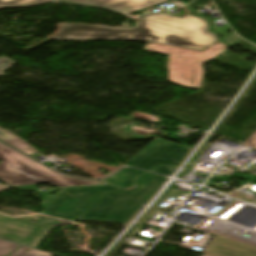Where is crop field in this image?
Returning a JSON list of instances; mask_svg holds the SVG:
<instances>
[{"mask_svg":"<svg viewBox=\"0 0 256 256\" xmlns=\"http://www.w3.org/2000/svg\"><path fill=\"white\" fill-rule=\"evenodd\" d=\"M242 145L256 149V132H254L247 140H245Z\"/></svg>","mask_w":256,"mask_h":256,"instance_id":"d9b57169","label":"crop field"},{"mask_svg":"<svg viewBox=\"0 0 256 256\" xmlns=\"http://www.w3.org/2000/svg\"><path fill=\"white\" fill-rule=\"evenodd\" d=\"M146 51L169 54L167 61L168 80L185 87L200 89L204 77L202 64L223 51L228 46L218 41L203 51L188 50L147 43Z\"/></svg>","mask_w":256,"mask_h":256,"instance_id":"ac0d7876","label":"crop field"},{"mask_svg":"<svg viewBox=\"0 0 256 256\" xmlns=\"http://www.w3.org/2000/svg\"><path fill=\"white\" fill-rule=\"evenodd\" d=\"M52 0H0V8L29 7ZM69 2L86 3L112 9L120 13H128L143 9L153 4L168 0H67Z\"/></svg>","mask_w":256,"mask_h":256,"instance_id":"e52e79f7","label":"crop field"},{"mask_svg":"<svg viewBox=\"0 0 256 256\" xmlns=\"http://www.w3.org/2000/svg\"><path fill=\"white\" fill-rule=\"evenodd\" d=\"M9 58H0V66H2L4 63L8 62Z\"/></svg>","mask_w":256,"mask_h":256,"instance_id":"92a150f3","label":"crop field"},{"mask_svg":"<svg viewBox=\"0 0 256 256\" xmlns=\"http://www.w3.org/2000/svg\"><path fill=\"white\" fill-rule=\"evenodd\" d=\"M144 171L134 169V168H125L118 173L117 180L121 188L133 186L134 177L138 176Z\"/></svg>","mask_w":256,"mask_h":256,"instance_id":"28ad6ade","label":"crop field"},{"mask_svg":"<svg viewBox=\"0 0 256 256\" xmlns=\"http://www.w3.org/2000/svg\"><path fill=\"white\" fill-rule=\"evenodd\" d=\"M166 179L163 176L152 173L142 175L136 180L137 188L130 192L151 197Z\"/></svg>","mask_w":256,"mask_h":256,"instance_id":"3316defc","label":"crop field"},{"mask_svg":"<svg viewBox=\"0 0 256 256\" xmlns=\"http://www.w3.org/2000/svg\"><path fill=\"white\" fill-rule=\"evenodd\" d=\"M7 188H10V187H8V186H6V185H0V191L5 190V189H7Z\"/></svg>","mask_w":256,"mask_h":256,"instance_id":"dafd665d","label":"crop field"},{"mask_svg":"<svg viewBox=\"0 0 256 256\" xmlns=\"http://www.w3.org/2000/svg\"><path fill=\"white\" fill-rule=\"evenodd\" d=\"M119 189L109 185L66 188L42 213L75 221L103 192Z\"/></svg>","mask_w":256,"mask_h":256,"instance_id":"412701ff","label":"crop field"},{"mask_svg":"<svg viewBox=\"0 0 256 256\" xmlns=\"http://www.w3.org/2000/svg\"><path fill=\"white\" fill-rule=\"evenodd\" d=\"M202 256H212V255L204 254V255H202Z\"/></svg>","mask_w":256,"mask_h":256,"instance_id":"00972430","label":"crop field"},{"mask_svg":"<svg viewBox=\"0 0 256 256\" xmlns=\"http://www.w3.org/2000/svg\"><path fill=\"white\" fill-rule=\"evenodd\" d=\"M14 63L11 61V62H9L6 66H4V67H1L0 68V75H3L4 73H3V69H6V68H9L10 66H12Z\"/></svg>","mask_w":256,"mask_h":256,"instance_id":"214f88e0","label":"crop field"},{"mask_svg":"<svg viewBox=\"0 0 256 256\" xmlns=\"http://www.w3.org/2000/svg\"><path fill=\"white\" fill-rule=\"evenodd\" d=\"M188 148L155 138L125 165L151 171L161 164L175 166L188 152Z\"/></svg>","mask_w":256,"mask_h":256,"instance_id":"f4fd0767","label":"crop field"},{"mask_svg":"<svg viewBox=\"0 0 256 256\" xmlns=\"http://www.w3.org/2000/svg\"><path fill=\"white\" fill-rule=\"evenodd\" d=\"M52 39L136 40L202 49L217 40L208 23L197 17L180 19L165 14L146 13L134 28H110L89 24H59Z\"/></svg>","mask_w":256,"mask_h":256,"instance_id":"8a807250","label":"crop field"},{"mask_svg":"<svg viewBox=\"0 0 256 256\" xmlns=\"http://www.w3.org/2000/svg\"><path fill=\"white\" fill-rule=\"evenodd\" d=\"M53 227H54V226L48 227V228L44 229V230L34 239V241H33L30 245H27V246L36 247V246L41 242V240L50 232V230H51Z\"/></svg>","mask_w":256,"mask_h":256,"instance_id":"5142ce71","label":"crop field"},{"mask_svg":"<svg viewBox=\"0 0 256 256\" xmlns=\"http://www.w3.org/2000/svg\"><path fill=\"white\" fill-rule=\"evenodd\" d=\"M60 222L64 221L45 216L33 225L0 215V238L21 244L30 243L44 226Z\"/></svg>","mask_w":256,"mask_h":256,"instance_id":"d8731c3e","label":"crop field"},{"mask_svg":"<svg viewBox=\"0 0 256 256\" xmlns=\"http://www.w3.org/2000/svg\"><path fill=\"white\" fill-rule=\"evenodd\" d=\"M25 249H28L29 251L26 252V251H24ZM9 256H50V254L47 252H44V251L31 249V248L22 246Z\"/></svg>","mask_w":256,"mask_h":256,"instance_id":"22f410ed","label":"crop field"},{"mask_svg":"<svg viewBox=\"0 0 256 256\" xmlns=\"http://www.w3.org/2000/svg\"><path fill=\"white\" fill-rule=\"evenodd\" d=\"M117 175V174H116ZM116 175L112 176L111 178L106 179L107 183L118 186V183L116 181Z\"/></svg>","mask_w":256,"mask_h":256,"instance_id":"bc2a9ffb","label":"crop field"},{"mask_svg":"<svg viewBox=\"0 0 256 256\" xmlns=\"http://www.w3.org/2000/svg\"><path fill=\"white\" fill-rule=\"evenodd\" d=\"M19 246L8 241L0 240V256H7Z\"/></svg>","mask_w":256,"mask_h":256,"instance_id":"cbeb9de0","label":"crop field"},{"mask_svg":"<svg viewBox=\"0 0 256 256\" xmlns=\"http://www.w3.org/2000/svg\"><path fill=\"white\" fill-rule=\"evenodd\" d=\"M236 37H235L234 33L232 32L222 39L226 44L234 45L239 41Z\"/></svg>","mask_w":256,"mask_h":256,"instance_id":"733c2abd","label":"crop field"},{"mask_svg":"<svg viewBox=\"0 0 256 256\" xmlns=\"http://www.w3.org/2000/svg\"><path fill=\"white\" fill-rule=\"evenodd\" d=\"M27 157V156H26ZM0 143V179L10 186L49 182L57 187L97 184L57 174Z\"/></svg>","mask_w":256,"mask_h":256,"instance_id":"34b2d1b8","label":"crop field"},{"mask_svg":"<svg viewBox=\"0 0 256 256\" xmlns=\"http://www.w3.org/2000/svg\"><path fill=\"white\" fill-rule=\"evenodd\" d=\"M105 194L113 196V197L129 200V201H133V202L143 203V204L149 200V198H147L145 196L130 193L126 190L112 192V193H105Z\"/></svg>","mask_w":256,"mask_h":256,"instance_id":"d1516ede","label":"crop field"},{"mask_svg":"<svg viewBox=\"0 0 256 256\" xmlns=\"http://www.w3.org/2000/svg\"><path fill=\"white\" fill-rule=\"evenodd\" d=\"M208 254L216 256H256V249L215 236L206 249Z\"/></svg>","mask_w":256,"mask_h":256,"instance_id":"5a996713","label":"crop field"},{"mask_svg":"<svg viewBox=\"0 0 256 256\" xmlns=\"http://www.w3.org/2000/svg\"><path fill=\"white\" fill-rule=\"evenodd\" d=\"M142 205L104 195L78 221L93 220L125 224Z\"/></svg>","mask_w":256,"mask_h":256,"instance_id":"dd49c442","label":"crop field"},{"mask_svg":"<svg viewBox=\"0 0 256 256\" xmlns=\"http://www.w3.org/2000/svg\"><path fill=\"white\" fill-rule=\"evenodd\" d=\"M155 172H159L161 174H164V175H171V173L173 172L171 167H168V166H161L159 168H157L155 170Z\"/></svg>","mask_w":256,"mask_h":256,"instance_id":"4a817a6b","label":"crop field"}]
</instances>
